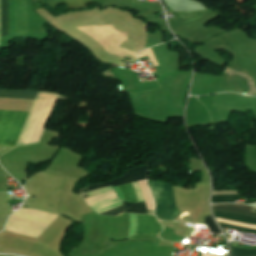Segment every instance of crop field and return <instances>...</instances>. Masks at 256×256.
Instances as JSON below:
<instances>
[{
	"mask_svg": "<svg viewBox=\"0 0 256 256\" xmlns=\"http://www.w3.org/2000/svg\"><path fill=\"white\" fill-rule=\"evenodd\" d=\"M37 92L0 90V98L34 100ZM28 114L0 111V146L15 147Z\"/></svg>",
	"mask_w": 256,
	"mask_h": 256,
	"instance_id": "1",
	"label": "crop field"
},
{
	"mask_svg": "<svg viewBox=\"0 0 256 256\" xmlns=\"http://www.w3.org/2000/svg\"><path fill=\"white\" fill-rule=\"evenodd\" d=\"M148 169H149V165L129 169L122 177H120L116 180H113L111 182H106V183H101V184L89 186L88 191L93 190V189H97V188L108 187L110 185H113V187H116V186H119V185L127 184L129 182H135V181L147 179ZM119 189H120V191H121V193H122V195H123V197L126 201L138 202L135 191H134L133 186H132L131 183L127 184V185L119 186ZM148 211H149V213L154 214L153 210L148 209Z\"/></svg>",
	"mask_w": 256,
	"mask_h": 256,
	"instance_id": "2",
	"label": "crop field"
},
{
	"mask_svg": "<svg viewBox=\"0 0 256 256\" xmlns=\"http://www.w3.org/2000/svg\"><path fill=\"white\" fill-rule=\"evenodd\" d=\"M163 230L156 217L138 214V227L135 235H158Z\"/></svg>",
	"mask_w": 256,
	"mask_h": 256,
	"instance_id": "3",
	"label": "crop field"
},
{
	"mask_svg": "<svg viewBox=\"0 0 256 256\" xmlns=\"http://www.w3.org/2000/svg\"><path fill=\"white\" fill-rule=\"evenodd\" d=\"M252 206H239V205H232V204H219L213 205V210L215 211H225L231 213H237L247 216L256 217V212H251Z\"/></svg>",
	"mask_w": 256,
	"mask_h": 256,
	"instance_id": "4",
	"label": "crop field"
},
{
	"mask_svg": "<svg viewBox=\"0 0 256 256\" xmlns=\"http://www.w3.org/2000/svg\"><path fill=\"white\" fill-rule=\"evenodd\" d=\"M0 29L1 37L8 35V0H1Z\"/></svg>",
	"mask_w": 256,
	"mask_h": 256,
	"instance_id": "5",
	"label": "crop field"
},
{
	"mask_svg": "<svg viewBox=\"0 0 256 256\" xmlns=\"http://www.w3.org/2000/svg\"><path fill=\"white\" fill-rule=\"evenodd\" d=\"M213 213H214L215 217H220V218L237 221V222L256 224V218L242 216V215L229 214V213H224V212L213 211Z\"/></svg>",
	"mask_w": 256,
	"mask_h": 256,
	"instance_id": "6",
	"label": "crop field"
},
{
	"mask_svg": "<svg viewBox=\"0 0 256 256\" xmlns=\"http://www.w3.org/2000/svg\"><path fill=\"white\" fill-rule=\"evenodd\" d=\"M123 204L127 212L148 213L144 203L133 204L124 201Z\"/></svg>",
	"mask_w": 256,
	"mask_h": 256,
	"instance_id": "7",
	"label": "crop field"
},
{
	"mask_svg": "<svg viewBox=\"0 0 256 256\" xmlns=\"http://www.w3.org/2000/svg\"><path fill=\"white\" fill-rule=\"evenodd\" d=\"M66 8L80 9L88 7L87 3L91 0H63Z\"/></svg>",
	"mask_w": 256,
	"mask_h": 256,
	"instance_id": "8",
	"label": "crop field"
},
{
	"mask_svg": "<svg viewBox=\"0 0 256 256\" xmlns=\"http://www.w3.org/2000/svg\"><path fill=\"white\" fill-rule=\"evenodd\" d=\"M231 248V256H252L256 255V249Z\"/></svg>",
	"mask_w": 256,
	"mask_h": 256,
	"instance_id": "9",
	"label": "crop field"
},
{
	"mask_svg": "<svg viewBox=\"0 0 256 256\" xmlns=\"http://www.w3.org/2000/svg\"><path fill=\"white\" fill-rule=\"evenodd\" d=\"M240 195H222V196H212V203L219 202H233L240 199Z\"/></svg>",
	"mask_w": 256,
	"mask_h": 256,
	"instance_id": "10",
	"label": "crop field"
},
{
	"mask_svg": "<svg viewBox=\"0 0 256 256\" xmlns=\"http://www.w3.org/2000/svg\"><path fill=\"white\" fill-rule=\"evenodd\" d=\"M205 223L208 226V228L211 231V233H214V234H217V235L222 233L220 231V229L217 227V225L214 223V221L211 218V216H206Z\"/></svg>",
	"mask_w": 256,
	"mask_h": 256,
	"instance_id": "11",
	"label": "crop field"
},
{
	"mask_svg": "<svg viewBox=\"0 0 256 256\" xmlns=\"http://www.w3.org/2000/svg\"><path fill=\"white\" fill-rule=\"evenodd\" d=\"M124 212H125L124 206L121 205L119 207H116L114 209L106 211V212L102 213L101 215L118 216V215H121Z\"/></svg>",
	"mask_w": 256,
	"mask_h": 256,
	"instance_id": "12",
	"label": "crop field"
},
{
	"mask_svg": "<svg viewBox=\"0 0 256 256\" xmlns=\"http://www.w3.org/2000/svg\"><path fill=\"white\" fill-rule=\"evenodd\" d=\"M219 223V222H218ZM219 225L221 227L224 228H229V229H233V230H238V231H243V232H248V233H253L256 234V230L253 229H247V228H242V227H236V226H232V225H228V224H223V223H219Z\"/></svg>",
	"mask_w": 256,
	"mask_h": 256,
	"instance_id": "13",
	"label": "crop field"
},
{
	"mask_svg": "<svg viewBox=\"0 0 256 256\" xmlns=\"http://www.w3.org/2000/svg\"><path fill=\"white\" fill-rule=\"evenodd\" d=\"M253 211H256V208H254Z\"/></svg>",
	"mask_w": 256,
	"mask_h": 256,
	"instance_id": "14",
	"label": "crop field"
}]
</instances>
